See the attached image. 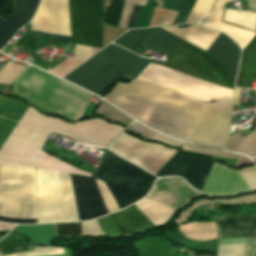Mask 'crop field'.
Returning a JSON list of instances; mask_svg holds the SVG:
<instances>
[{"mask_svg": "<svg viewBox=\"0 0 256 256\" xmlns=\"http://www.w3.org/2000/svg\"><path fill=\"white\" fill-rule=\"evenodd\" d=\"M223 8L217 10L216 12H214L213 14L209 15L207 23L206 24H212V23H216L221 21L222 18V12H223Z\"/></svg>", "mask_w": 256, "mask_h": 256, "instance_id": "b54c1fbb", "label": "crop field"}, {"mask_svg": "<svg viewBox=\"0 0 256 256\" xmlns=\"http://www.w3.org/2000/svg\"><path fill=\"white\" fill-rule=\"evenodd\" d=\"M196 194L198 192L190 188L183 179L167 177L158 179L147 197L176 211ZM199 195L202 194L199 193L197 196Z\"/></svg>", "mask_w": 256, "mask_h": 256, "instance_id": "cbeb9de0", "label": "crop field"}, {"mask_svg": "<svg viewBox=\"0 0 256 256\" xmlns=\"http://www.w3.org/2000/svg\"><path fill=\"white\" fill-rule=\"evenodd\" d=\"M208 17V16H207ZM207 17L202 20V24L206 23Z\"/></svg>", "mask_w": 256, "mask_h": 256, "instance_id": "dbb93151", "label": "crop field"}, {"mask_svg": "<svg viewBox=\"0 0 256 256\" xmlns=\"http://www.w3.org/2000/svg\"><path fill=\"white\" fill-rule=\"evenodd\" d=\"M227 1H229V0H218V3H217V5H216V8L219 7V6H221L222 4H224V3L227 2Z\"/></svg>", "mask_w": 256, "mask_h": 256, "instance_id": "1f2cbd36", "label": "crop field"}, {"mask_svg": "<svg viewBox=\"0 0 256 256\" xmlns=\"http://www.w3.org/2000/svg\"><path fill=\"white\" fill-rule=\"evenodd\" d=\"M55 231L59 237L81 236L80 223L55 224Z\"/></svg>", "mask_w": 256, "mask_h": 256, "instance_id": "d32e631a", "label": "crop field"}, {"mask_svg": "<svg viewBox=\"0 0 256 256\" xmlns=\"http://www.w3.org/2000/svg\"><path fill=\"white\" fill-rule=\"evenodd\" d=\"M251 163H252V162H251L250 159H248V158H246V157H244V156H242V155H238V162H237L236 168H237V167H240V166H242V165L251 164Z\"/></svg>", "mask_w": 256, "mask_h": 256, "instance_id": "425ffa30", "label": "crop field"}, {"mask_svg": "<svg viewBox=\"0 0 256 256\" xmlns=\"http://www.w3.org/2000/svg\"><path fill=\"white\" fill-rule=\"evenodd\" d=\"M34 249L35 251L11 254V255H5V256H47V255L63 254V251L60 248L37 247Z\"/></svg>", "mask_w": 256, "mask_h": 256, "instance_id": "e1f06a70", "label": "crop field"}, {"mask_svg": "<svg viewBox=\"0 0 256 256\" xmlns=\"http://www.w3.org/2000/svg\"><path fill=\"white\" fill-rule=\"evenodd\" d=\"M13 91L74 120H79L91 97L33 66H28L14 80Z\"/></svg>", "mask_w": 256, "mask_h": 256, "instance_id": "412701ff", "label": "crop field"}, {"mask_svg": "<svg viewBox=\"0 0 256 256\" xmlns=\"http://www.w3.org/2000/svg\"><path fill=\"white\" fill-rule=\"evenodd\" d=\"M211 202H212V201L201 200V201L195 203L193 206L187 208V209L179 216V218L175 220V222H176L177 224L186 222V218L188 217V215H189L195 208H197V207L200 206V205L207 204V203H211Z\"/></svg>", "mask_w": 256, "mask_h": 256, "instance_id": "c21b1889", "label": "crop field"}, {"mask_svg": "<svg viewBox=\"0 0 256 256\" xmlns=\"http://www.w3.org/2000/svg\"><path fill=\"white\" fill-rule=\"evenodd\" d=\"M105 100L142 123L185 140L203 102L134 79L117 83Z\"/></svg>", "mask_w": 256, "mask_h": 256, "instance_id": "34b2d1b8", "label": "crop field"}, {"mask_svg": "<svg viewBox=\"0 0 256 256\" xmlns=\"http://www.w3.org/2000/svg\"><path fill=\"white\" fill-rule=\"evenodd\" d=\"M256 238H247L245 256H255Z\"/></svg>", "mask_w": 256, "mask_h": 256, "instance_id": "03da06ac", "label": "crop field"}, {"mask_svg": "<svg viewBox=\"0 0 256 256\" xmlns=\"http://www.w3.org/2000/svg\"><path fill=\"white\" fill-rule=\"evenodd\" d=\"M178 14L177 11H172L169 10L168 14L164 18L163 22L161 25H166V24H172L173 20L175 19L176 15Z\"/></svg>", "mask_w": 256, "mask_h": 256, "instance_id": "d23c7cc5", "label": "crop field"}, {"mask_svg": "<svg viewBox=\"0 0 256 256\" xmlns=\"http://www.w3.org/2000/svg\"><path fill=\"white\" fill-rule=\"evenodd\" d=\"M213 161L174 155L156 174L157 176L178 175L183 177L193 188L201 191Z\"/></svg>", "mask_w": 256, "mask_h": 256, "instance_id": "d1516ede", "label": "crop field"}, {"mask_svg": "<svg viewBox=\"0 0 256 256\" xmlns=\"http://www.w3.org/2000/svg\"><path fill=\"white\" fill-rule=\"evenodd\" d=\"M80 221L106 214L92 178L70 174Z\"/></svg>", "mask_w": 256, "mask_h": 256, "instance_id": "22f410ed", "label": "crop field"}, {"mask_svg": "<svg viewBox=\"0 0 256 256\" xmlns=\"http://www.w3.org/2000/svg\"><path fill=\"white\" fill-rule=\"evenodd\" d=\"M72 43L102 48L103 0H69Z\"/></svg>", "mask_w": 256, "mask_h": 256, "instance_id": "d8731c3e", "label": "crop field"}, {"mask_svg": "<svg viewBox=\"0 0 256 256\" xmlns=\"http://www.w3.org/2000/svg\"><path fill=\"white\" fill-rule=\"evenodd\" d=\"M34 250L29 246L26 240L20 237H10L6 236L4 239L0 240V254H11L18 252H25Z\"/></svg>", "mask_w": 256, "mask_h": 256, "instance_id": "730fd06b", "label": "crop field"}, {"mask_svg": "<svg viewBox=\"0 0 256 256\" xmlns=\"http://www.w3.org/2000/svg\"><path fill=\"white\" fill-rule=\"evenodd\" d=\"M161 29L205 51L219 34V32L206 29L200 24L191 25L190 27H183V28H177V26H173V27H163Z\"/></svg>", "mask_w": 256, "mask_h": 256, "instance_id": "4a817a6b", "label": "crop field"}, {"mask_svg": "<svg viewBox=\"0 0 256 256\" xmlns=\"http://www.w3.org/2000/svg\"><path fill=\"white\" fill-rule=\"evenodd\" d=\"M111 217L114 220L123 237L136 234L123 217L121 211L111 214Z\"/></svg>", "mask_w": 256, "mask_h": 256, "instance_id": "028f5c9d", "label": "crop field"}, {"mask_svg": "<svg viewBox=\"0 0 256 256\" xmlns=\"http://www.w3.org/2000/svg\"><path fill=\"white\" fill-rule=\"evenodd\" d=\"M196 0H165L164 8L180 11L174 22L185 23Z\"/></svg>", "mask_w": 256, "mask_h": 256, "instance_id": "eef30255", "label": "crop field"}, {"mask_svg": "<svg viewBox=\"0 0 256 256\" xmlns=\"http://www.w3.org/2000/svg\"><path fill=\"white\" fill-rule=\"evenodd\" d=\"M213 2L214 0H197L185 24L198 22L208 14Z\"/></svg>", "mask_w": 256, "mask_h": 256, "instance_id": "750c4746", "label": "crop field"}, {"mask_svg": "<svg viewBox=\"0 0 256 256\" xmlns=\"http://www.w3.org/2000/svg\"><path fill=\"white\" fill-rule=\"evenodd\" d=\"M121 211L135 232L151 225L147 218L135 207L134 204Z\"/></svg>", "mask_w": 256, "mask_h": 256, "instance_id": "ae1a2a85", "label": "crop field"}, {"mask_svg": "<svg viewBox=\"0 0 256 256\" xmlns=\"http://www.w3.org/2000/svg\"><path fill=\"white\" fill-rule=\"evenodd\" d=\"M206 52L235 79L240 48L230 38L220 33Z\"/></svg>", "mask_w": 256, "mask_h": 256, "instance_id": "d9b57169", "label": "crop field"}, {"mask_svg": "<svg viewBox=\"0 0 256 256\" xmlns=\"http://www.w3.org/2000/svg\"><path fill=\"white\" fill-rule=\"evenodd\" d=\"M216 163V162H215ZM213 164L209 177L202 189L208 196H226L256 190V166L234 171L226 166Z\"/></svg>", "mask_w": 256, "mask_h": 256, "instance_id": "28ad6ade", "label": "crop field"}, {"mask_svg": "<svg viewBox=\"0 0 256 256\" xmlns=\"http://www.w3.org/2000/svg\"><path fill=\"white\" fill-rule=\"evenodd\" d=\"M37 223L79 221L70 176L36 168Z\"/></svg>", "mask_w": 256, "mask_h": 256, "instance_id": "dd49c442", "label": "crop field"}, {"mask_svg": "<svg viewBox=\"0 0 256 256\" xmlns=\"http://www.w3.org/2000/svg\"><path fill=\"white\" fill-rule=\"evenodd\" d=\"M146 0H136L134 4L145 5Z\"/></svg>", "mask_w": 256, "mask_h": 256, "instance_id": "73cf0c24", "label": "crop field"}, {"mask_svg": "<svg viewBox=\"0 0 256 256\" xmlns=\"http://www.w3.org/2000/svg\"><path fill=\"white\" fill-rule=\"evenodd\" d=\"M216 2H217V0H216ZM216 2H215V4H214V6H213V8H212L211 12L213 11V9H214V7H215V5H216ZM211 12H210V13H211Z\"/></svg>", "mask_w": 256, "mask_h": 256, "instance_id": "0fb4a251", "label": "crop field"}, {"mask_svg": "<svg viewBox=\"0 0 256 256\" xmlns=\"http://www.w3.org/2000/svg\"><path fill=\"white\" fill-rule=\"evenodd\" d=\"M109 149L154 175L177 152L158 144L140 142L123 133Z\"/></svg>", "mask_w": 256, "mask_h": 256, "instance_id": "3316defc", "label": "crop field"}, {"mask_svg": "<svg viewBox=\"0 0 256 256\" xmlns=\"http://www.w3.org/2000/svg\"><path fill=\"white\" fill-rule=\"evenodd\" d=\"M134 204L155 227L167 222L174 213V211L146 197Z\"/></svg>", "mask_w": 256, "mask_h": 256, "instance_id": "214f88e0", "label": "crop field"}, {"mask_svg": "<svg viewBox=\"0 0 256 256\" xmlns=\"http://www.w3.org/2000/svg\"><path fill=\"white\" fill-rule=\"evenodd\" d=\"M94 180L96 182V185L98 187V190L100 192V195L102 197V200L104 202L107 212L109 213V212L118 210L119 208H118L115 200L113 199L110 191L104 184V182L101 180H98V179H94Z\"/></svg>", "mask_w": 256, "mask_h": 256, "instance_id": "120bbe31", "label": "crop field"}, {"mask_svg": "<svg viewBox=\"0 0 256 256\" xmlns=\"http://www.w3.org/2000/svg\"><path fill=\"white\" fill-rule=\"evenodd\" d=\"M228 150L241 152L249 156H256V127L250 135L244 138L239 133L230 138Z\"/></svg>", "mask_w": 256, "mask_h": 256, "instance_id": "dafd665d", "label": "crop field"}, {"mask_svg": "<svg viewBox=\"0 0 256 256\" xmlns=\"http://www.w3.org/2000/svg\"><path fill=\"white\" fill-rule=\"evenodd\" d=\"M135 0H127L121 26L125 27ZM142 6H133L126 28H134Z\"/></svg>", "mask_w": 256, "mask_h": 256, "instance_id": "1d83c4d3", "label": "crop field"}, {"mask_svg": "<svg viewBox=\"0 0 256 256\" xmlns=\"http://www.w3.org/2000/svg\"><path fill=\"white\" fill-rule=\"evenodd\" d=\"M13 227L11 224L0 223V230H11Z\"/></svg>", "mask_w": 256, "mask_h": 256, "instance_id": "25e5ab78", "label": "crop field"}, {"mask_svg": "<svg viewBox=\"0 0 256 256\" xmlns=\"http://www.w3.org/2000/svg\"><path fill=\"white\" fill-rule=\"evenodd\" d=\"M245 244L218 246V256H243Z\"/></svg>", "mask_w": 256, "mask_h": 256, "instance_id": "0bd39190", "label": "crop field"}, {"mask_svg": "<svg viewBox=\"0 0 256 256\" xmlns=\"http://www.w3.org/2000/svg\"><path fill=\"white\" fill-rule=\"evenodd\" d=\"M27 108L28 106L17 100L5 97L0 99V117L2 118L18 122Z\"/></svg>", "mask_w": 256, "mask_h": 256, "instance_id": "00972430", "label": "crop field"}, {"mask_svg": "<svg viewBox=\"0 0 256 256\" xmlns=\"http://www.w3.org/2000/svg\"><path fill=\"white\" fill-rule=\"evenodd\" d=\"M122 130L99 119L71 125L44 117L29 107L0 148V161L90 176L40 152L47 135L53 132L82 143L107 147ZM91 177L105 182L120 209L143 197L156 179L109 150Z\"/></svg>", "mask_w": 256, "mask_h": 256, "instance_id": "ac0d7876", "label": "crop field"}, {"mask_svg": "<svg viewBox=\"0 0 256 256\" xmlns=\"http://www.w3.org/2000/svg\"><path fill=\"white\" fill-rule=\"evenodd\" d=\"M17 12L6 20L0 18V50L6 42L32 17L39 0H11Z\"/></svg>", "mask_w": 256, "mask_h": 256, "instance_id": "733c2abd", "label": "crop field"}, {"mask_svg": "<svg viewBox=\"0 0 256 256\" xmlns=\"http://www.w3.org/2000/svg\"><path fill=\"white\" fill-rule=\"evenodd\" d=\"M182 149L192 151V152H196V153H200V154L226 157V158H232V159H234L235 155H236L234 153L216 151V150H212V149H208V148H204V147H199V146L187 144L185 142L182 145Z\"/></svg>", "mask_w": 256, "mask_h": 256, "instance_id": "5866460e", "label": "crop field"}, {"mask_svg": "<svg viewBox=\"0 0 256 256\" xmlns=\"http://www.w3.org/2000/svg\"><path fill=\"white\" fill-rule=\"evenodd\" d=\"M134 132L148 138L151 140H155V141H159V142H163V143H167L171 146H179L181 144V141L160 135L146 127H144L143 125L139 124L136 126V128L134 129Z\"/></svg>", "mask_w": 256, "mask_h": 256, "instance_id": "bd1437ed", "label": "crop field"}, {"mask_svg": "<svg viewBox=\"0 0 256 256\" xmlns=\"http://www.w3.org/2000/svg\"><path fill=\"white\" fill-rule=\"evenodd\" d=\"M226 11L227 9L225 10L223 20L225 19ZM225 22L256 31V13L228 9Z\"/></svg>", "mask_w": 256, "mask_h": 256, "instance_id": "4177f3b9", "label": "crop field"}, {"mask_svg": "<svg viewBox=\"0 0 256 256\" xmlns=\"http://www.w3.org/2000/svg\"><path fill=\"white\" fill-rule=\"evenodd\" d=\"M98 50H99L98 48L76 45L74 49V53L76 54L75 57L87 59Z\"/></svg>", "mask_w": 256, "mask_h": 256, "instance_id": "c035e120", "label": "crop field"}, {"mask_svg": "<svg viewBox=\"0 0 256 256\" xmlns=\"http://www.w3.org/2000/svg\"><path fill=\"white\" fill-rule=\"evenodd\" d=\"M240 89L233 90L232 99L205 103L188 140L226 148L233 105H239Z\"/></svg>", "mask_w": 256, "mask_h": 256, "instance_id": "e52e79f7", "label": "crop field"}, {"mask_svg": "<svg viewBox=\"0 0 256 256\" xmlns=\"http://www.w3.org/2000/svg\"><path fill=\"white\" fill-rule=\"evenodd\" d=\"M11 48H12V46L7 44V46L4 48V50L2 52L7 54Z\"/></svg>", "mask_w": 256, "mask_h": 256, "instance_id": "89e229c0", "label": "crop field"}, {"mask_svg": "<svg viewBox=\"0 0 256 256\" xmlns=\"http://www.w3.org/2000/svg\"><path fill=\"white\" fill-rule=\"evenodd\" d=\"M14 232L26 234L27 237L35 243H50L54 239V229L52 224L20 225Z\"/></svg>", "mask_w": 256, "mask_h": 256, "instance_id": "92a150f3", "label": "crop field"}, {"mask_svg": "<svg viewBox=\"0 0 256 256\" xmlns=\"http://www.w3.org/2000/svg\"><path fill=\"white\" fill-rule=\"evenodd\" d=\"M205 26L218 29L229 35L235 42H237L241 46L242 49L255 35V33L240 29L238 27L223 22Z\"/></svg>", "mask_w": 256, "mask_h": 256, "instance_id": "a9b5d70f", "label": "crop field"}, {"mask_svg": "<svg viewBox=\"0 0 256 256\" xmlns=\"http://www.w3.org/2000/svg\"><path fill=\"white\" fill-rule=\"evenodd\" d=\"M256 74V35L242 51L236 86L247 88Z\"/></svg>", "mask_w": 256, "mask_h": 256, "instance_id": "bc2a9ffb", "label": "crop field"}, {"mask_svg": "<svg viewBox=\"0 0 256 256\" xmlns=\"http://www.w3.org/2000/svg\"><path fill=\"white\" fill-rule=\"evenodd\" d=\"M219 239L256 236V216L214 217Z\"/></svg>", "mask_w": 256, "mask_h": 256, "instance_id": "5142ce71", "label": "crop field"}, {"mask_svg": "<svg viewBox=\"0 0 256 256\" xmlns=\"http://www.w3.org/2000/svg\"><path fill=\"white\" fill-rule=\"evenodd\" d=\"M114 42L133 52L139 44H145L172 54L185 41L159 28H153L129 30ZM143 60L142 57L110 44L64 78L100 96L118 76L136 78L149 64ZM153 63L231 90L234 87V81L206 52L186 42L170 55L166 63ZM156 64L150 63L137 79L204 102L231 98V90Z\"/></svg>", "mask_w": 256, "mask_h": 256, "instance_id": "8a807250", "label": "crop field"}, {"mask_svg": "<svg viewBox=\"0 0 256 256\" xmlns=\"http://www.w3.org/2000/svg\"><path fill=\"white\" fill-rule=\"evenodd\" d=\"M31 27L35 32L70 36L68 0H41ZM31 27L22 36L71 43L70 37L31 32Z\"/></svg>", "mask_w": 256, "mask_h": 256, "instance_id": "5a996713", "label": "crop field"}, {"mask_svg": "<svg viewBox=\"0 0 256 256\" xmlns=\"http://www.w3.org/2000/svg\"><path fill=\"white\" fill-rule=\"evenodd\" d=\"M255 200H256V196H244L238 199L222 200V202L240 203V202H251Z\"/></svg>", "mask_w": 256, "mask_h": 256, "instance_id": "5d738f31", "label": "crop field"}, {"mask_svg": "<svg viewBox=\"0 0 256 256\" xmlns=\"http://www.w3.org/2000/svg\"><path fill=\"white\" fill-rule=\"evenodd\" d=\"M81 229H82V236H94V237L104 236L96 220L81 223Z\"/></svg>", "mask_w": 256, "mask_h": 256, "instance_id": "b80d0937", "label": "crop field"}, {"mask_svg": "<svg viewBox=\"0 0 256 256\" xmlns=\"http://www.w3.org/2000/svg\"><path fill=\"white\" fill-rule=\"evenodd\" d=\"M0 215L36 218L35 168L0 163ZM12 223H36V219H12Z\"/></svg>", "mask_w": 256, "mask_h": 256, "instance_id": "f4fd0767", "label": "crop field"}, {"mask_svg": "<svg viewBox=\"0 0 256 256\" xmlns=\"http://www.w3.org/2000/svg\"><path fill=\"white\" fill-rule=\"evenodd\" d=\"M96 113L100 114L101 116L107 118L110 121L120 122L121 124L126 126H128L133 121L129 117L109 106L104 101L101 102Z\"/></svg>", "mask_w": 256, "mask_h": 256, "instance_id": "d3111659", "label": "crop field"}]
</instances>
